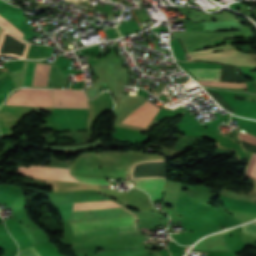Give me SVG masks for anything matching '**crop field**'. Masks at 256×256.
<instances>
[{
  "label": "crop field",
  "instance_id": "crop-field-9",
  "mask_svg": "<svg viewBox=\"0 0 256 256\" xmlns=\"http://www.w3.org/2000/svg\"><path fill=\"white\" fill-rule=\"evenodd\" d=\"M71 175H73L78 180H80L84 183L97 184V185H109L103 178L82 176V175H74V174H71Z\"/></svg>",
  "mask_w": 256,
  "mask_h": 256
},
{
  "label": "crop field",
  "instance_id": "crop-field-6",
  "mask_svg": "<svg viewBox=\"0 0 256 256\" xmlns=\"http://www.w3.org/2000/svg\"><path fill=\"white\" fill-rule=\"evenodd\" d=\"M194 249L230 251L222 235L208 237L199 242Z\"/></svg>",
  "mask_w": 256,
  "mask_h": 256
},
{
  "label": "crop field",
  "instance_id": "crop-field-7",
  "mask_svg": "<svg viewBox=\"0 0 256 256\" xmlns=\"http://www.w3.org/2000/svg\"><path fill=\"white\" fill-rule=\"evenodd\" d=\"M198 80H218L220 81L221 69H188Z\"/></svg>",
  "mask_w": 256,
  "mask_h": 256
},
{
  "label": "crop field",
  "instance_id": "crop-field-2",
  "mask_svg": "<svg viewBox=\"0 0 256 256\" xmlns=\"http://www.w3.org/2000/svg\"><path fill=\"white\" fill-rule=\"evenodd\" d=\"M54 113L88 115L87 102L54 101ZM52 114L50 122L61 128L86 129L87 116Z\"/></svg>",
  "mask_w": 256,
  "mask_h": 256
},
{
  "label": "crop field",
  "instance_id": "crop-field-5",
  "mask_svg": "<svg viewBox=\"0 0 256 256\" xmlns=\"http://www.w3.org/2000/svg\"><path fill=\"white\" fill-rule=\"evenodd\" d=\"M166 179L131 180L135 186L145 190L152 201L160 200Z\"/></svg>",
  "mask_w": 256,
  "mask_h": 256
},
{
  "label": "crop field",
  "instance_id": "crop-field-8",
  "mask_svg": "<svg viewBox=\"0 0 256 256\" xmlns=\"http://www.w3.org/2000/svg\"><path fill=\"white\" fill-rule=\"evenodd\" d=\"M239 136L242 140L256 144V137H253L247 133L239 134ZM246 176L256 179V153H254L251 157Z\"/></svg>",
  "mask_w": 256,
  "mask_h": 256
},
{
  "label": "crop field",
  "instance_id": "crop-field-11",
  "mask_svg": "<svg viewBox=\"0 0 256 256\" xmlns=\"http://www.w3.org/2000/svg\"><path fill=\"white\" fill-rule=\"evenodd\" d=\"M0 25L7 28L8 30L14 32L15 34L23 37V34L18 31L15 27H13L10 23H8L5 19H3L1 16H0Z\"/></svg>",
  "mask_w": 256,
  "mask_h": 256
},
{
  "label": "crop field",
  "instance_id": "crop-field-10",
  "mask_svg": "<svg viewBox=\"0 0 256 256\" xmlns=\"http://www.w3.org/2000/svg\"><path fill=\"white\" fill-rule=\"evenodd\" d=\"M210 95H212L217 101H218V103L222 106V107H224V108H226L227 110H229V111H231V112H233L234 110L226 103V101L219 95V94H217V93H214V92H209V91H207Z\"/></svg>",
  "mask_w": 256,
  "mask_h": 256
},
{
  "label": "crop field",
  "instance_id": "crop-field-3",
  "mask_svg": "<svg viewBox=\"0 0 256 256\" xmlns=\"http://www.w3.org/2000/svg\"><path fill=\"white\" fill-rule=\"evenodd\" d=\"M11 96L26 98L52 99V91L47 89H20ZM10 97L6 104L22 106H52V100Z\"/></svg>",
  "mask_w": 256,
  "mask_h": 256
},
{
  "label": "crop field",
  "instance_id": "crop-field-14",
  "mask_svg": "<svg viewBox=\"0 0 256 256\" xmlns=\"http://www.w3.org/2000/svg\"><path fill=\"white\" fill-rule=\"evenodd\" d=\"M222 80L231 81V65L224 64Z\"/></svg>",
  "mask_w": 256,
  "mask_h": 256
},
{
  "label": "crop field",
  "instance_id": "crop-field-4",
  "mask_svg": "<svg viewBox=\"0 0 256 256\" xmlns=\"http://www.w3.org/2000/svg\"><path fill=\"white\" fill-rule=\"evenodd\" d=\"M192 60H206L218 63H230L239 65H256V61L241 54L237 50H227L219 53L193 55Z\"/></svg>",
  "mask_w": 256,
  "mask_h": 256
},
{
  "label": "crop field",
  "instance_id": "crop-field-16",
  "mask_svg": "<svg viewBox=\"0 0 256 256\" xmlns=\"http://www.w3.org/2000/svg\"><path fill=\"white\" fill-rule=\"evenodd\" d=\"M229 48H231L230 45H221V46H216L214 48H209L206 50L191 52L190 54L205 53V52H209V51H213V50H225V49H229Z\"/></svg>",
  "mask_w": 256,
  "mask_h": 256
},
{
  "label": "crop field",
  "instance_id": "crop-field-13",
  "mask_svg": "<svg viewBox=\"0 0 256 256\" xmlns=\"http://www.w3.org/2000/svg\"><path fill=\"white\" fill-rule=\"evenodd\" d=\"M179 185V183L167 181L165 192L177 194Z\"/></svg>",
  "mask_w": 256,
  "mask_h": 256
},
{
  "label": "crop field",
  "instance_id": "crop-field-1",
  "mask_svg": "<svg viewBox=\"0 0 256 256\" xmlns=\"http://www.w3.org/2000/svg\"><path fill=\"white\" fill-rule=\"evenodd\" d=\"M134 216L124 208L72 211L70 222ZM74 235L136 230L135 217L70 223ZM129 232V231H128Z\"/></svg>",
  "mask_w": 256,
  "mask_h": 256
},
{
  "label": "crop field",
  "instance_id": "crop-field-12",
  "mask_svg": "<svg viewBox=\"0 0 256 256\" xmlns=\"http://www.w3.org/2000/svg\"><path fill=\"white\" fill-rule=\"evenodd\" d=\"M18 256H40L34 246L21 250Z\"/></svg>",
  "mask_w": 256,
  "mask_h": 256
},
{
  "label": "crop field",
  "instance_id": "crop-field-17",
  "mask_svg": "<svg viewBox=\"0 0 256 256\" xmlns=\"http://www.w3.org/2000/svg\"><path fill=\"white\" fill-rule=\"evenodd\" d=\"M3 30H4V29L0 28V36H1L2 32H3ZM1 37H2V36H1Z\"/></svg>",
  "mask_w": 256,
  "mask_h": 256
},
{
  "label": "crop field",
  "instance_id": "crop-field-15",
  "mask_svg": "<svg viewBox=\"0 0 256 256\" xmlns=\"http://www.w3.org/2000/svg\"><path fill=\"white\" fill-rule=\"evenodd\" d=\"M242 232L250 233L256 236V224L252 223V224L242 226Z\"/></svg>",
  "mask_w": 256,
  "mask_h": 256
}]
</instances>
